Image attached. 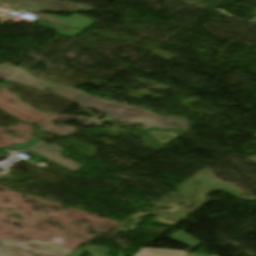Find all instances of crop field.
Masks as SVG:
<instances>
[{
	"instance_id": "crop-field-4",
	"label": "crop field",
	"mask_w": 256,
	"mask_h": 256,
	"mask_svg": "<svg viewBox=\"0 0 256 256\" xmlns=\"http://www.w3.org/2000/svg\"><path fill=\"white\" fill-rule=\"evenodd\" d=\"M6 80L12 82H19L21 84L37 88L41 91L49 88L53 90L54 94L75 102H78L88 96V94L82 92L81 90L63 87L37 79L21 68L11 74Z\"/></svg>"
},
{
	"instance_id": "crop-field-9",
	"label": "crop field",
	"mask_w": 256,
	"mask_h": 256,
	"mask_svg": "<svg viewBox=\"0 0 256 256\" xmlns=\"http://www.w3.org/2000/svg\"><path fill=\"white\" fill-rule=\"evenodd\" d=\"M84 251L92 254L90 256H107L106 253L109 252L110 249L84 246V247L76 250L75 252L71 253L68 256H81L82 252H84Z\"/></svg>"
},
{
	"instance_id": "crop-field-2",
	"label": "crop field",
	"mask_w": 256,
	"mask_h": 256,
	"mask_svg": "<svg viewBox=\"0 0 256 256\" xmlns=\"http://www.w3.org/2000/svg\"><path fill=\"white\" fill-rule=\"evenodd\" d=\"M0 108L7 113L27 122L41 126L55 114L38 111L33 106L19 100L18 96L7 90V86H0Z\"/></svg>"
},
{
	"instance_id": "crop-field-1",
	"label": "crop field",
	"mask_w": 256,
	"mask_h": 256,
	"mask_svg": "<svg viewBox=\"0 0 256 256\" xmlns=\"http://www.w3.org/2000/svg\"><path fill=\"white\" fill-rule=\"evenodd\" d=\"M82 106L95 108L102 111L118 120L131 121L143 124L149 128L157 129H184L188 130L190 121L183 118H178L174 116L163 117L154 114L150 111L139 109L132 106L121 105L106 100L98 99L95 97L88 96L85 99L78 102ZM168 119H176L183 124L177 125L167 122Z\"/></svg>"
},
{
	"instance_id": "crop-field-10",
	"label": "crop field",
	"mask_w": 256,
	"mask_h": 256,
	"mask_svg": "<svg viewBox=\"0 0 256 256\" xmlns=\"http://www.w3.org/2000/svg\"><path fill=\"white\" fill-rule=\"evenodd\" d=\"M19 69L8 63L0 64V79L5 80L11 73Z\"/></svg>"
},
{
	"instance_id": "crop-field-11",
	"label": "crop field",
	"mask_w": 256,
	"mask_h": 256,
	"mask_svg": "<svg viewBox=\"0 0 256 256\" xmlns=\"http://www.w3.org/2000/svg\"><path fill=\"white\" fill-rule=\"evenodd\" d=\"M186 256H209V255H197V254H188Z\"/></svg>"
},
{
	"instance_id": "crop-field-7",
	"label": "crop field",
	"mask_w": 256,
	"mask_h": 256,
	"mask_svg": "<svg viewBox=\"0 0 256 256\" xmlns=\"http://www.w3.org/2000/svg\"><path fill=\"white\" fill-rule=\"evenodd\" d=\"M58 119H83V120H89V121H95V122L99 121V120H95V119H87V118L59 115L56 118H54L53 120H51L50 122H52L54 120H58ZM50 122H48L47 124L43 125L41 127V129L46 130L48 132H52V133L62 134V135H68V134L74 132V130H70V129H66V128H61V127H56V126L49 125Z\"/></svg>"
},
{
	"instance_id": "crop-field-6",
	"label": "crop field",
	"mask_w": 256,
	"mask_h": 256,
	"mask_svg": "<svg viewBox=\"0 0 256 256\" xmlns=\"http://www.w3.org/2000/svg\"><path fill=\"white\" fill-rule=\"evenodd\" d=\"M188 252L165 250V249H151L143 248L134 256H185Z\"/></svg>"
},
{
	"instance_id": "crop-field-3",
	"label": "crop field",
	"mask_w": 256,
	"mask_h": 256,
	"mask_svg": "<svg viewBox=\"0 0 256 256\" xmlns=\"http://www.w3.org/2000/svg\"><path fill=\"white\" fill-rule=\"evenodd\" d=\"M66 250L67 248L53 242L46 244L35 240L26 246H20L8 239L0 243V256H64L69 253ZM5 251H9L11 255Z\"/></svg>"
},
{
	"instance_id": "crop-field-8",
	"label": "crop field",
	"mask_w": 256,
	"mask_h": 256,
	"mask_svg": "<svg viewBox=\"0 0 256 256\" xmlns=\"http://www.w3.org/2000/svg\"><path fill=\"white\" fill-rule=\"evenodd\" d=\"M169 237H171L177 241H181L193 249L198 247L199 245L203 244L182 230L169 236Z\"/></svg>"
},
{
	"instance_id": "crop-field-5",
	"label": "crop field",
	"mask_w": 256,
	"mask_h": 256,
	"mask_svg": "<svg viewBox=\"0 0 256 256\" xmlns=\"http://www.w3.org/2000/svg\"><path fill=\"white\" fill-rule=\"evenodd\" d=\"M37 146V145H36ZM30 149V148H29ZM50 160H53L73 171L77 170L78 168H80L82 165L72 161V160H68V159H62L60 157V152L62 151V149H59L57 147L51 146L49 144L43 143L37 147H34L32 149H30Z\"/></svg>"
}]
</instances>
